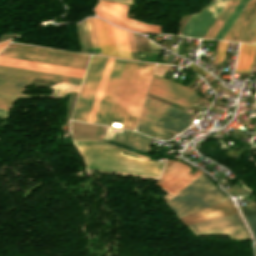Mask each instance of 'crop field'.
<instances>
[{"label": "crop field", "mask_w": 256, "mask_h": 256, "mask_svg": "<svg viewBox=\"0 0 256 256\" xmlns=\"http://www.w3.org/2000/svg\"><path fill=\"white\" fill-rule=\"evenodd\" d=\"M255 47L256 45L241 43L238 62L235 71L247 72L250 70V65L255 51Z\"/></svg>", "instance_id": "bc2a9ffb"}, {"label": "crop field", "mask_w": 256, "mask_h": 256, "mask_svg": "<svg viewBox=\"0 0 256 256\" xmlns=\"http://www.w3.org/2000/svg\"><path fill=\"white\" fill-rule=\"evenodd\" d=\"M183 56V55H182Z\"/></svg>", "instance_id": "b80d0937"}, {"label": "crop field", "mask_w": 256, "mask_h": 256, "mask_svg": "<svg viewBox=\"0 0 256 256\" xmlns=\"http://www.w3.org/2000/svg\"><path fill=\"white\" fill-rule=\"evenodd\" d=\"M93 20L101 53L131 59L125 30L96 18Z\"/></svg>", "instance_id": "d8731c3e"}, {"label": "crop field", "mask_w": 256, "mask_h": 256, "mask_svg": "<svg viewBox=\"0 0 256 256\" xmlns=\"http://www.w3.org/2000/svg\"><path fill=\"white\" fill-rule=\"evenodd\" d=\"M191 114L146 98L136 130L157 139L169 133H179L193 121Z\"/></svg>", "instance_id": "ac0d7876"}, {"label": "crop field", "mask_w": 256, "mask_h": 256, "mask_svg": "<svg viewBox=\"0 0 256 256\" xmlns=\"http://www.w3.org/2000/svg\"><path fill=\"white\" fill-rule=\"evenodd\" d=\"M244 218H245L250 230L256 228V214L245 216Z\"/></svg>", "instance_id": "750c4746"}, {"label": "crop field", "mask_w": 256, "mask_h": 256, "mask_svg": "<svg viewBox=\"0 0 256 256\" xmlns=\"http://www.w3.org/2000/svg\"><path fill=\"white\" fill-rule=\"evenodd\" d=\"M226 191L232 196H237V195H241V194H244V193H247L246 190L234 185L228 189H226Z\"/></svg>", "instance_id": "d3111659"}, {"label": "crop field", "mask_w": 256, "mask_h": 256, "mask_svg": "<svg viewBox=\"0 0 256 256\" xmlns=\"http://www.w3.org/2000/svg\"><path fill=\"white\" fill-rule=\"evenodd\" d=\"M127 6L100 0L94 8L97 16L104 18L114 24L133 29L144 33L143 31L159 33L160 27L154 25L143 24L125 16ZM146 34V33H144Z\"/></svg>", "instance_id": "5a996713"}, {"label": "crop field", "mask_w": 256, "mask_h": 256, "mask_svg": "<svg viewBox=\"0 0 256 256\" xmlns=\"http://www.w3.org/2000/svg\"><path fill=\"white\" fill-rule=\"evenodd\" d=\"M226 46L227 42L220 41L216 58L217 63H220L223 60Z\"/></svg>", "instance_id": "eef30255"}, {"label": "crop field", "mask_w": 256, "mask_h": 256, "mask_svg": "<svg viewBox=\"0 0 256 256\" xmlns=\"http://www.w3.org/2000/svg\"><path fill=\"white\" fill-rule=\"evenodd\" d=\"M173 58H174V55L170 53V54H169V58H168V62H167V63L171 64V63H172V61H173Z\"/></svg>", "instance_id": "028f5c9d"}, {"label": "crop field", "mask_w": 256, "mask_h": 256, "mask_svg": "<svg viewBox=\"0 0 256 256\" xmlns=\"http://www.w3.org/2000/svg\"><path fill=\"white\" fill-rule=\"evenodd\" d=\"M88 28H89V32H90V36H91V41H92V46L93 48L98 47V42H97V38H96V33H95V29H94V24H93V20L92 18H88L85 19Z\"/></svg>", "instance_id": "a9b5d70f"}, {"label": "crop field", "mask_w": 256, "mask_h": 256, "mask_svg": "<svg viewBox=\"0 0 256 256\" xmlns=\"http://www.w3.org/2000/svg\"><path fill=\"white\" fill-rule=\"evenodd\" d=\"M247 1L248 0L239 1V3L237 4L233 12L230 14V16L228 17V19L226 20V22L224 23L222 28L219 30V32L217 33L214 39H222V37L224 36L226 31L229 29V27L231 26V24L233 23L237 15L240 13V11L242 10V8L244 7Z\"/></svg>", "instance_id": "00972430"}, {"label": "crop field", "mask_w": 256, "mask_h": 256, "mask_svg": "<svg viewBox=\"0 0 256 256\" xmlns=\"http://www.w3.org/2000/svg\"><path fill=\"white\" fill-rule=\"evenodd\" d=\"M143 63L127 61L106 124H123Z\"/></svg>", "instance_id": "dd49c442"}, {"label": "crop field", "mask_w": 256, "mask_h": 256, "mask_svg": "<svg viewBox=\"0 0 256 256\" xmlns=\"http://www.w3.org/2000/svg\"><path fill=\"white\" fill-rule=\"evenodd\" d=\"M0 65L82 78V69L0 57Z\"/></svg>", "instance_id": "d9b57169"}, {"label": "crop field", "mask_w": 256, "mask_h": 256, "mask_svg": "<svg viewBox=\"0 0 256 256\" xmlns=\"http://www.w3.org/2000/svg\"><path fill=\"white\" fill-rule=\"evenodd\" d=\"M155 64L144 63L122 128L134 130Z\"/></svg>", "instance_id": "cbeb9de0"}, {"label": "crop field", "mask_w": 256, "mask_h": 256, "mask_svg": "<svg viewBox=\"0 0 256 256\" xmlns=\"http://www.w3.org/2000/svg\"><path fill=\"white\" fill-rule=\"evenodd\" d=\"M151 138L139 134L135 131H131L125 146L131 147L143 152H147L151 142Z\"/></svg>", "instance_id": "dafd665d"}, {"label": "crop field", "mask_w": 256, "mask_h": 256, "mask_svg": "<svg viewBox=\"0 0 256 256\" xmlns=\"http://www.w3.org/2000/svg\"><path fill=\"white\" fill-rule=\"evenodd\" d=\"M149 92L188 108L192 105L193 101L198 95V92L167 81L156 75L154 76Z\"/></svg>", "instance_id": "22f410ed"}, {"label": "crop field", "mask_w": 256, "mask_h": 256, "mask_svg": "<svg viewBox=\"0 0 256 256\" xmlns=\"http://www.w3.org/2000/svg\"><path fill=\"white\" fill-rule=\"evenodd\" d=\"M150 42V47H151V51L152 53H158L161 54L162 48L158 47L157 45H155L154 43Z\"/></svg>", "instance_id": "bd1437ed"}, {"label": "crop field", "mask_w": 256, "mask_h": 256, "mask_svg": "<svg viewBox=\"0 0 256 256\" xmlns=\"http://www.w3.org/2000/svg\"><path fill=\"white\" fill-rule=\"evenodd\" d=\"M0 108H1V109L10 110V108H8V107H2V106H0ZM1 109H0V117H6L8 111H7V110H1Z\"/></svg>", "instance_id": "1d83c4d3"}, {"label": "crop field", "mask_w": 256, "mask_h": 256, "mask_svg": "<svg viewBox=\"0 0 256 256\" xmlns=\"http://www.w3.org/2000/svg\"><path fill=\"white\" fill-rule=\"evenodd\" d=\"M188 66H190L191 68L195 69L196 71H198L202 75L205 74L204 71H202L200 68H198L197 66L193 65L192 63L190 65H188Z\"/></svg>", "instance_id": "d32e631a"}, {"label": "crop field", "mask_w": 256, "mask_h": 256, "mask_svg": "<svg viewBox=\"0 0 256 256\" xmlns=\"http://www.w3.org/2000/svg\"><path fill=\"white\" fill-rule=\"evenodd\" d=\"M194 234L231 233V238L249 237L238 214L188 226Z\"/></svg>", "instance_id": "d1516ede"}, {"label": "crop field", "mask_w": 256, "mask_h": 256, "mask_svg": "<svg viewBox=\"0 0 256 256\" xmlns=\"http://www.w3.org/2000/svg\"><path fill=\"white\" fill-rule=\"evenodd\" d=\"M125 60L115 59L94 123L105 124L114 94L116 92Z\"/></svg>", "instance_id": "5142ce71"}, {"label": "crop field", "mask_w": 256, "mask_h": 256, "mask_svg": "<svg viewBox=\"0 0 256 256\" xmlns=\"http://www.w3.org/2000/svg\"><path fill=\"white\" fill-rule=\"evenodd\" d=\"M190 169L191 168L189 166L178 162L160 186L175 195L182 188L202 174L198 170L194 175H192L189 173Z\"/></svg>", "instance_id": "733c2abd"}, {"label": "crop field", "mask_w": 256, "mask_h": 256, "mask_svg": "<svg viewBox=\"0 0 256 256\" xmlns=\"http://www.w3.org/2000/svg\"><path fill=\"white\" fill-rule=\"evenodd\" d=\"M82 23H83V22H82ZM82 23H81V24H82ZM84 23H85V22H84ZM83 26H84V24H83ZM85 26H86V24H85ZM85 26H84V29H85ZM85 33H86V29H85ZM87 34H88V31H87Z\"/></svg>", "instance_id": "0bd39190"}, {"label": "crop field", "mask_w": 256, "mask_h": 256, "mask_svg": "<svg viewBox=\"0 0 256 256\" xmlns=\"http://www.w3.org/2000/svg\"><path fill=\"white\" fill-rule=\"evenodd\" d=\"M242 213L243 216L248 215V214H252V213H256V204L254 203H250V204H246L243 206H239L238 207Z\"/></svg>", "instance_id": "4177f3b9"}, {"label": "crop field", "mask_w": 256, "mask_h": 256, "mask_svg": "<svg viewBox=\"0 0 256 256\" xmlns=\"http://www.w3.org/2000/svg\"><path fill=\"white\" fill-rule=\"evenodd\" d=\"M177 161H168L167 166L161 175V177L157 181V185L161 183V181L166 177V175L171 171V169L176 165Z\"/></svg>", "instance_id": "ae1a2a85"}, {"label": "crop field", "mask_w": 256, "mask_h": 256, "mask_svg": "<svg viewBox=\"0 0 256 256\" xmlns=\"http://www.w3.org/2000/svg\"><path fill=\"white\" fill-rule=\"evenodd\" d=\"M224 200L227 198L202 174L166 204L179 218Z\"/></svg>", "instance_id": "34b2d1b8"}, {"label": "crop field", "mask_w": 256, "mask_h": 256, "mask_svg": "<svg viewBox=\"0 0 256 256\" xmlns=\"http://www.w3.org/2000/svg\"><path fill=\"white\" fill-rule=\"evenodd\" d=\"M224 39L256 43V0H249Z\"/></svg>", "instance_id": "3316defc"}, {"label": "crop field", "mask_w": 256, "mask_h": 256, "mask_svg": "<svg viewBox=\"0 0 256 256\" xmlns=\"http://www.w3.org/2000/svg\"><path fill=\"white\" fill-rule=\"evenodd\" d=\"M237 213L230 200L211 206L204 210L182 217L179 220L184 224L196 223Z\"/></svg>", "instance_id": "4a817a6b"}, {"label": "crop field", "mask_w": 256, "mask_h": 256, "mask_svg": "<svg viewBox=\"0 0 256 256\" xmlns=\"http://www.w3.org/2000/svg\"><path fill=\"white\" fill-rule=\"evenodd\" d=\"M228 0H213L200 13L192 14L180 34L203 38Z\"/></svg>", "instance_id": "28ad6ade"}, {"label": "crop field", "mask_w": 256, "mask_h": 256, "mask_svg": "<svg viewBox=\"0 0 256 256\" xmlns=\"http://www.w3.org/2000/svg\"><path fill=\"white\" fill-rule=\"evenodd\" d=\"M10 40H11V39H9V40H7V41H5V42L0 43V50H1L4 46H6V45L9 43Z\"/></svg>", "instance_id": "5866460e"}, {"label": "crop field", "mask_w": 256, "mask_h": 256, "mask_svg": "<svg viewBox=\"0 0 256 256\" xmlns=\"http://www.w3.org/2000/svg\"><path fill=\"white\" fill-rule=\"evenodd\" d=\"M107 57L92 56L71 119L87 121Z\"/></svg>", "instance_id": "e52e79f7"}, {"label": "crop field", "mask_w": 256, "mask_h": 256, "mask_svg": "<svg viewBox=\"0 0 256 256\" xmlns=\"http://www.w3.org/2000/svg\"><path fill=\"white\" fill-rule=\"evenodd\" d=\"M0 56L85 69L89 56L10 43Z\"/></svg>", "instance_id": "f4fd0767"}, {"label": "crop field", "mask_w": 256, "mask_h": 256, "mask_svg": "<svg viewBox=\"0 0 256 256\" xmlns=\"http://www.w3.org/2000/svg\"><path fill=\"white\" fill-rule=\"evenodd\" d=\"M31 77L81 84L79 78L0 66V105L12 107Z\"/></svg>", "instance_id": "412701ff"}, {"label": "crop field", "mask_w": 256, "mask_h": 256, "mask_svg": "<svg viewBox=\"0 0 256 256\" xmlns=\"http://www.w3.org/2000/svg\"><path fill=\"white\" fill-rule=\"evenodd\" d=\"M126 32H127V37H128L131 57H132V59L138 60L136 49H135V44H134V40H133V35H132L131 32H129L127 30H126Z\"/></svg>", "instance_id": "730fd06b"}, {"label": "crop field", "mask_w": 256, "mask_h": 256, "mask_svg": "<svg viewBox=\"0 0 256 256\" xmlns=\"http://www.w3.org/2000/svg\"><path fill=\"white\" fill-rule=\"evenodd\" d=\"M133 35H134V39H135L136 49H137V51H141L138 36L135 33H133Z\"/></svg>", "instance_id": "120bbe31"}, {"label": "crop field", "mask_w": 256, "mask_h": 256, "mask_svg": "<svg viewBox=\"0 0 256 256\" xmlns=\"http://www.w3.org/2000/svg\"><path fill=\"white\" fill-rule=\"evenodd\" d=\"M112 62H113V58L108 57V61H107V64H106V67H105V70H104V73H103V76H102V79H101V82H100V85H99V88H98V91H97V94H96V97H95V100H94V103H93V106H92V109H91V112H90L87 122H90V123L94 122V119H95V116L97 113V109H98V106H99V103H100V100H101V97L103 94V90H104V87H105V84H106V81H107V78H108V75L110 72Z\"/></svg>", "instance_id": "92a150f3"}, {"label": "crop field", "mask_w": 256, "mask_h": 256, "mask_svg": "<svg viewBox=\"0 0 256 256\" xmlns=\"http://www.w3.org/2000/svg\"><path fill=\"white\" fill-rule=\"evenodd\" d=\"M251 232L253 234L254 239L256 240V230H252Z\"/></svg>", "instance_id": "e1f06a70"}, {"label": "crop field", "mask_w": 256, "mask_h": 256, "mask_svg": "<svg viewBox=\"0 0 256 256\" xmlns=\"http://www.w3.org/2000/svg\"><path fill=\"white\" fill-rule=\"evenodd\" d=\"M239 0H229L220 15L217 17L204 38H214L218 30L221 28L229 14L232 12Z\"/></svg>", "instance_id": "214f88e0"}, {"label": "crop field", "mask_w": 256, "mask_h": 256, "mask_svg": "<svg viewBox=\"0 0 256 256\" xmlns=\"http://www.w3.org/2000/svg\"><path fill=\"white\" fill-rule=\"evenodd\" d=\"M88 169L158 178L165 164L124 155L97 141H74Z\"/></svg>", "instance_id": "8a807250"}]
</instances>
